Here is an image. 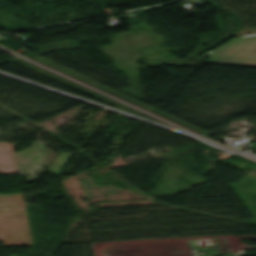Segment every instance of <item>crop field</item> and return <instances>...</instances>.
<instances>
[{"mask_svg": "<svg viewBox=\"0 0 256 256\" xmlns=\"http://www.w3.org/2000/svg\"><path fill=\"white\" fill-rule=\"evenodd\" d=\"M202 56L209 57L208 63L256 66V34L232 39Z\"/></svg>", "mask_w": 256, "mask_h": 256, "instance_id": "8a807250", "label": "crop field"}]
</instances>
